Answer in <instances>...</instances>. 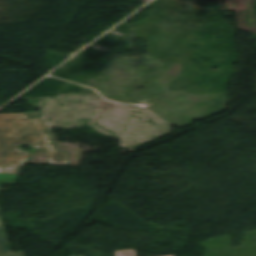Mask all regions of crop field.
I'll list each match as a JSON object with an SVG mask.
<instances>
[{
  "label": "crop field",
  "mask_w": 256,
  "mask_h": 256,
  "mask_svg": "<svg viewBox=\"0 0 256 256\" xmlns=\"http://www.w3.org/2000/svg\"><path fill=\"white\" fill-rule=\"evenodd\" d=\"M6 256H24L22 252L20 253H14V254H9V255H6Z\"/></svg>",
  "instance_id": "obj_4"
},
{
  "label": "crop field",
  "mask_w": 256,
  "mask_h": 256,
  "mask_svg": "<svg viewBox=\"0 0 256 256\" xmlns=\"http://www.w3.org/2000/svg\"><path fill=\"white\" fill-rule=\"evenodd\" d=\"M27 145L46 149L50 165H69L67 152L56 150L40 119H28L25 113L0 115V173L19 174L32 153L19 149Z\"/></svg>",
  "instance_id": "obj_1"
},
{
  "label": "crop field",
  "mask_w": 256,
  "mask_h": 256,
  "mask_svg": "<svg viewBox=\"0 0 256 256\" xmlns=\"http://www.w3.org/2000/svg\"><path fill=\"white\" fill-rule=\"evenodd\" d=\"M9 253H11V252H10L7 240H6L4 230H3L1 222H0V256L4 255V254L6 255Z\"/></svg>",
  "instance_id": "obj_2"
},
{
  "label": "crop field",
  "mask_w": 256,
  "mask_h": 256,
  "mask_svg": "<svg viewBox=\"0 0 256 256\" xmlns=\"http://www.w3.org/2000/svg\"><path fill=\"white\" fill-rule=\"evenodd\" d=\"M115 254L116 256H136V251L135 249H133V250L115 252ZM170 256H174V255H170Z\"/></svg>",
  "instance_id": "obj_3"
}]
</instances>
